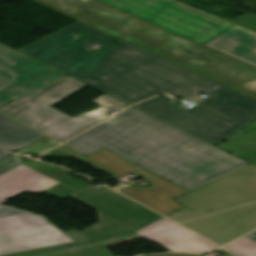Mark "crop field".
Instances as JSON below:
<instances>
[{
	"instance_id": "8a807250",
	"label": "crop field",
	"mask_w": 256,
	"mask_h": 256,
	"mask_svg": "<svg viewBox=\"0 0 256 256\" xmlns=\"http://www.w3.org/2000/svg\"><path fill=\"white\" fill-rule=\"evenodd\" d=\"M18 51L129 105L179 91L208 98L183 110L159 97L133 107L213 146L256 118V101L76 21Z\"/></svg>"
},
{
	"instance_id": "ac0d7876",
	"label": "crop field",
	"mask_w": 256,
	"mask_h": 256,
	"mask_svg": "<svg viewBox=\"0 0 256 256\" xmlns=\"http://www.w3.org/2000/svg\"><path fill=\"white\" fill-rule=\"evenodd\" d=\"M63 145L104 147L189 191L248 164L133 107Z\"/></svg>"
},
{
	"instance_id": "34b2d1b8",
	"label": "crop field",
	"mask_w": 256,
	"mask_h": 256,
	"mask_svg": "<svg viewBox=\"0 0 256 256\" xmlns=\"http://www.w3.org/2000/svg\"><path fill=\"white\" fill-rule=\"evenodd\" d=\"M256 98V68L96 0H32Z\"/></svg>"
},
{
	"instance_id": "412701ff",
	"label": "crop field",
	"mask_w": 256,
	"mask_h": 256,
	"mask_svg": "<svg viewBox=\"0 0 256 256\" xmlns=\"http://www.w3.org/2000/svg\"><path fill=\"white\" fill-rule=\"evenodd\" d=\"M175 201L169 218L223 245L256 228V167L248 164Z\"/></svg>"
},
{
	"instance_id": "f4fd0767",
	"label": "crop field",
	"mask_w": 256,
	"mask_h": 256,
	"mask_svg": "<svg viewBox=\"0 0 256 256\" xmlns=\"http://www.w3.org/2000/svg\"><path fill=\"white\" fill-rule=\"evenodd\" d=\"M71 196L97 208L100 222L84 231L66 232L75 243L8 256H90L92 251L162 217L105 186H91Z\"/></svg>"
},
{
	"instance_id": "dd49c442",
	"label": "crop field",
	"mask_w": 256,
	"mask_h": 256,
	"mask_svg": "<svg viewBox=\"0 0 256 256\" xmlns=\"http://www.w3.org/2000/svg\"><path fill=\"white\" fill-rule=\"evenodd\" d=\"M84 86L86 85L65 76L0 109V112L63 142L108 117L106 114L112 110L118 111L128 106L104 94L92 100L101 107L74 118L49 107Z\"/></svg>"
},
{
	"instance_id": "e52e79f7",
	"label": "crop field",
	"mask_w": 256,
	"mask_h": 256,
	"mask_svg": "<svg viewBox=\"0 0 256 256\" xmlns=\"http://www.w3.org/2000/svg\"><path fill=\"white\" fill-rule=\"evenodd\" d=\"M98 1L203 45L238 30L169 0Z\"/></svg>"
},
{
	"instance_id": "d8731c3e",
	"label": "crop field",
	"mask_w": 256,
	"mask_h": 256,
	"mask_svg": "<svg viewBox=\"0 0 256 256\" xmlns=\"http://www.w3.org/2000/svg\"><path fill=\"white\" fill-rule=\"evenodd\" d=\"M54 150L68 157L74 156L75 158L115 178L129 172H132L138 177L146 178L147 181L152 184L151 188L129 186L119 192L165 216L184 207L183 205L173 201V199L187 193V191L103 148L86 157L63 145Z\"/></svg>"
},
{
	"instance_id": "5a996713",
	"label": "crop field",
	"mask_w": 256,
	"mask_h": 256,
	"mask_svg": "<svg viewBox=\"0 0 256 256\" xmlns=\"http://www.w3.org/2000/svg\"><path fill=\"white\" fill-rule=\"evenodd\" d=\"M72 242L42 216L0 204V256Z\"/></svg>"
},
{
	"instance_id": "3316defc",
	"label": "crop field",
	"mask_w": 256,
	"mask_h": 256,
	"mask_svg": "<svg viewBox=\"0 0 256 256\" xmlns=\"http://www.w3.org/2000/svg\"><path fill=\"white\" fill-rule=\"evenodd\" d=\"M63 76L0 44V106Z\"/></svg>"
},
{
	"instance_id": "28ad6ade",
	"label": "crop field",
	"mask_w": 256,
	"mask_h": 256,
	"mask_svg": "<svg viewBox=\"0 0 256 256\" xmlns=\"http://www.w3.org/2000/svg\"><path fill=\"white\" fill-rule=\"evenodd\" d=\"M135 233L173 252L203 253L219 248L212 242L165 218Z\"/></svg>"
},
{
	"instance_id": "d1516ede",
	"label": "crop field",
	"mask_w": 256,
	"mask_h": 256,
	"mask_svg": "<svg viewBox=\"0 0 256 256\" xmlns=\"http://www.w3.org/2000/svg\"><path fill=\"white\" fill-rule=\"evenodd\" d=\"M59 182L23 165L0 176V203L23 191L42 192Z\"/></svg>"
},
{
	"instance_id": "22f410ed",
	"label": "crop field",
	"mask_w": 256,
	"mask_h": 256,
	"mask_svg": "<svg viewBox=\"0 0 256 256\" xmlns=\"http://www.w3.org/2000/svg\"><path fill=\"white\" fill-rule=\"evenodd\" d=\"M207 46L256 67V34L240 29Z\"/></svg>"
},
{
	"instance_id": "cbeb9de0",
	"label": "crop field",
	"mask_w": 256,
	"mask_h": 256,
	"mask_svg": "<svg viewBox=\"0 0 256 256\" xmlns=\"http://www.w3.org/2000/svg\"><path fill=\"white\" fill-rule=\"evenodd\" d=\"M41 137L43 135L0 115V143L8 148L15 151ZM9 153L11 152L0 146V158Z\"/></svg>"
},
{
	"instance_id": "5142ce71",
	"label": "crop field",
	"mask_w": 256,
	"mask_h": 256,
	"mask_svg": "<svg viewBox=\"0 0 256 256\" xmlns=\"http://www.w3.org/2000/svg\"><path fill=\"white\" fill-rule=\"evenodd\" d=\"M224 248L238 256H256V242L245 236L224 246Z\"/></svg>"
},
{
	"instance_id": "d9b57169",
	"label": "crop field",
	"mask_w": 256,
	"mask_h": 256,
	"mask_svg": "<svg viewBox=\"0 0 256 256\" xmlns=\"http://www.w3.org/2000/svg\"><path fill=\"white\" fill-rule=\"evenodd\" d=\"M58 144L59 143H57V142H55V141L45 137V138H43V139H41V140H39V141H37V142H35V143L25 147V148H23V149H21V150H19L17 152H19L21 154H25L27 152H32L34 154L39 155V154L47 151L48 149H50V148H52V147H54V146H56Z\"/></svg>"
},
{
	"instance_id": "733c2abd",
	"label": "crop field",
	"mask_w": 256,
	"mask_h": 256,
	"mask_svg": "<svg viewBox=\"0 0 256 256\" xmlns=\"http://www.w3.org/2000/svg\"><path fill=\"white\" fill-rule=\"evenodd\" d=\"M21 155L11 154L0 160V174L22 164L18 159Z\"/></svg>"
},
{
	"instance_id": "4a817a6b",
	"label": "crop field",
	"mask_w": 256,
	"mask_h": 256,
	"mask_svg": "<svg viewBox=\"0 0 256 256\" xmlns=\"http://www.w3.org/2000/svg\"><path fill=\"white\" fill-rule=\"evenodd\" d=\"M93 256H112L109 249L106 247L92 253Z\"/></svg>"
},
{
	"instance_id": "bc2a9ffb",
	"label": "crop field",
	"mask_w": 256,
	"mask_h": 256,
	"mask_svg": "<svg viewBox=\"0 0 256 256\" xmlns=\"http://www.w3.org/2000/svg\"><path fill=\"white\" fill-rule=\"evenodd\" d=\"M155 256H199V255H193V254H165V255H155ZM227 256H233L231 254Z\"/></svg>"
},
{
	"instance_id": "214f88e0",
	"label": "crop field",
	"mask_w": 256,
	"mask_h": 256,
	"mask_svg": "<svg viewBox=\"0 0 256 256\" xmlns=\"http://www.w3.org/2000/svg\"><path fill=\"white\" fill-rule=\"evenodd\" d=\"M245 236H247V237H249V238H251V239L256 241V230L251 232V233H249V234H247V235H245Z\"/></svg>"
}]
</instances>
